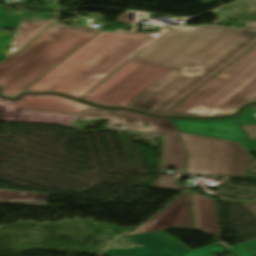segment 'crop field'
<instances>
[{
	"label": "crop field",
	"instance_id": "21",
	"mask_svg": "<svg viewBox=\"0 0 256 256\" xmlns=\"http://www.w3.org/2000/svg\"><path fill=\"white\" fill-rule=\"evenodd\" d=\"M18 24L19 21L6 17L5 8L0 7V31L4 27L17 29Z\"/></svg>",
	"mask_w": 256,
	"mask_h": 256
},
{
	"label": "crop field",
	"instance_id": "11",
	"mask_svg": "<svg viewBox=\"0 0 256 256\" xmlns=\"http://www.w3.org/2000/svg\"><path fill=\"white\" fill-rule=\"evenodd\" d=\"M19 108L79 113L91 106L51 95H25L18 101Z\"/></svg>",
	"mask_w": 256,
	"mask_h": 256
},
{
	"label": "crop field",
	"instance_id": "2",
	"mask_svg": "<svg viewBox=\"0 0 256 256\" xmlns=\"http://www.w3.org/2000/svg\"><path fill=\"white\" fill-rule=\"evenodd\" d=\"M152 34L127 31L100 32L26 92H60L80 98L164 33H157L158 37Z\"/></svg>",
	"mask_w": 256,
	"mask_h": 256
},
{
	"label": "crop field",
	"instance_id": "4",
	"mask_svg": "<svg viewBox=\"0 0 256 256\" xmlns=\"http://www.w3.org/2000/svg\"><path fill=\"white\" fill-rule=\"evenodd\" d=\"M256 101V45L167 115H231Z\"/></svg>",
	"mask_w": 256,
	"mask_h": 256
},
{
	"label": "crop field",
	"instance_id": "26",
	"mask_svg": "<svg viewBox=\"0 0 256 256\" xmlns=\"http://www.w3.org/2000/svg\"><path fill=\"white\" fill-rule=\"evenodd\" d=\"M200 70L198 68H188L186 70V75L187 76H195L199 74Z\"/></svg>",
	"mask_w": 256,
	"mask_h": 256
},
{
	"label": "crop field",
	"instance_id": "27",
	"mask_svg": "<svg viewBox=\"0 0 256 256\" xmlns=\"http://www.w3.org/2000/svg\"><path fill=\"white\" fill-rule=\"evenodd\" d=\"M45 2H46V4H47V1H51V0H44ZM53 1H55L52 5H49V4H47L49 7H62L61 5H58V2L59 1H65V0H53Z\"/></svg>",
	"mask_w": 256,
	"mask_h": 256
},
{
	"label": "crop field",
	"instance_id": "13",
	"mask_svg": "<svg viewBox=\"0 0 256 256\" xmlns=\"http://www.w3.org/2000/svg\"><path fill=\"white\" fill-rule=\"evenodd\" d=\"M50 23H55V20L20 22L19 27L15 33V37L11 44V46L16 49L9 50V52L6 54V57L17 51L19 48L23 47L25 44H27Z\"/></svg>",
	"mask_w": 256,
	"mask_h": 256
},
{
	"label": "crop field",
	"instance_id": "12",
	"mask_svg": "<svg viewBox=\"0 0 256 256\" xmlns=\"http://www.w3.org/2000/svg\"><path fill=\"white\" fill-rule=\"evenodd\" d=\"M191 194L196 229L219 237L215 201L199 194Z\"/></svg>",
	"mask_w": 256,
	"mask_h": 256
},
{
	"label": "crop field",
	"instance_id": "6",
	"mask_svg": "<svg viewBox=\"0 0 256 256\" xmlns=\"http://www.w3.org/2000/svg\"><path fill=\"white\" fill-rule=\"evenodd\" d=\"M169 69L131 59L82 99L111 107H123Z\"/></svg>",
	"mask_w": 256,
	"mask_h": 256
},
{
	"label": "crop field",
	"instance_id": "17",
	"mask_svg": "<svg viewBox=\"0 0 256 256\" xmlns=\"http://www.w3.org/2000/svg\"><path fill=\"white\" fill-rule=\"evenodd\" d=\"M185 203H182L178 206L173 212H171L168 216L162 219L160 222L151 227L147 232L163 230L166 227L173 226L175 220L177 219L179 213L181 212Z\"/></svg>",
	"mask_w": 256,
	"mask_h": 256
},
{
	"label": "crop field",
	"instance_id": "24",
	"mask_svg": "<svg viewBox=\"0 0 256 256\" xmlns=\"http://www.w3.org/2000/svg\"><path fill=\"white\" fill-rule=\"evenodd\" d=\"M243 142V141H242ZM246 151L255 150L256 149V140L239 143Z\"/></svg>",
	"mask_w": 256,
	"mask_h": 256
},
{
	"label": "crop field",
	"instance_id": "9",
	"mask_svg": "<svg viewBox=\"0 0 256 256\" xmlns=\"http://www.w3.org/2000/svg\"><path fill=\"white\" fill-rule=\"evenodd\" d=\"M181 132L225 139L229 141L246 140L238 124L256 125V113L250 107L235 118L219 120H175Z\"/></svg>",
	"mask_w": 256,
	"mask_h": 256
},
{
	"label": "crop field",
	"instance_id": "1",
	"mask_svg": "<svg viewBox=\"0 0 256 256\" xmlns=\"http://www.w3.org/2000/svg\"><path fill=\"white\" fill-rule=\"evenodd\" d=\"M256 42V30L202 25L195 33L169 29L134 59L171 69L124 107L163 115ZM187 67H199L186 77Z\"/></svg>",
	"mask_w": 256,
	"mask_h": 256
},
{
	"label": "crop field",
	"instance_id": "31",
	"mask_svg": "<svg viewBox=\"0 0 256 256\" xmlns=\"http://www.w3.org/2000/svg\"><path fill=\"white\" fill-rule=\"evenodd\" d=\"M254 109H255V111H256V105H254V106H252Z\"/></svg>",
	"mask_w": 256,
	"mask_h": 256
},
{
	"label": "crop field",
	"instance_id": "3",
	"mask_svg": "<svg viewBox=\"0 0 256 256\" xmlns=\"http://www.w3.org/2000/svg\"><path fill=\"white\" fill-rule=\"evenodd\" d=\"M99 31L62 24L47 28L20 52L0 62L2 95L14 98L21 94L50 68L65 59Z\"/></svg>",
	"mask_w": 256,
	"mask_h": 256
},
{
	"label": "crop field",
	"instance_id": "15",
	"mask_svg": "<svg viewBox=\"0 0 256 256\" xmlns=\"http://www.w3.org/2000/svg\"><path fill=\"white\" fill-rule=\"evenodd\" d=\"M188 196H189V193L186 189V191L183 194H181L179 197H177L175 200H173L170 204H168L165 208H163L155 216H153L151 219H149L147 222H145L143 225H141L136 230H134L124 236L128 237L131 235L146 233L147 229H149L155 223H157L162 218H164L166 215H168L171 211H173L182 202H185L187 200Z\"/></svg>",
	"mask_w": 256,
	"mask_h": 256
},
{
	"label": "crop field",
	"instance_id": "10",
	"mask_svg": "<svg viewBox=\"0 0 256 256\" xmlns=\"http://www.w3.org/2000/svg\"><path fill=\"white\" fill-rule=\"evenodd\" d=\"M76 114L18 109L17 102L0 99V120L69 125Z\"/></svg>",
	"mask_w": 256,
	"mask_h": 256
},
{
	"label": "crop field",
	"instance_id": "28",
	"mask_svg": "<svg viewBox=\"0 0 256 256\" xmlns=\"http://www.w3.org/2000/svg\"><path fill=\"white\" fill-rule=\"evenodd\" d=\"M246 27L256 28V22H247Z\"/></svg>",
	"mask_w": 256,
	"mask_h": 256
},
{
	"label": "crop field",
	"instance_id": "7",
	"mask_svg": "<svg viewBox=\"0 0 256 256\" xmlns=\"http://www.w3.org/2000/svg\"><path fill=\"white\" fill-rule=\"evenodd\" d=\"M115 111L121 127H126L124 131L165 133L161 172H165L166 167H173L175 173H184L186 153L173 124L163 118H153L129 111ZM143 124H148L149 128H143Z\"/></svg>",
	"mask_w": 256,
	"mask_h": 256
},
{
	"label": "crop field",
	"instance_id": "25",
	"mask_svg": "<svg viewBox=\"0 0 256 256\" xmlns=\"http://www.w3.org/2000/svg\"><path fill=\"white\" fill-rule=\"evenodd\" d=\"M200 26L197 27H191V26H180L172 29H177V30H183V31H188V32H194L196 29H198Z\"/></svg>",
	"mask_w": 256,
	"mask_h": 256
},
{
	"label": "crop field",
	"instance_id": "29",
	"mask_svg": "<svg viewBox=\"0 0 256 256\" xmlns=\"http://www.w3.org/2000/svg\"><path fill=\"white\" fill-rule=\"evenodd\" d=\"M12 3H28V2H27V0H24V1H13ZM34 3H35L36 5H38V4L36 3V0H34Z\"/></svg>",
	"mask_w": 256,
	"mask_h": 256
},
{
	"label": "crop field",
	"instance_id": "20",
	"mask_svg": "<svg viewBox=\"0 0 256 256\" xmlns=\"http://www.w3.org/2000/svg\"><path fill=\"white\" fill-rule=\"evenodd\" d=\"M241 256H256V241L231 247Z\"/></svg>",
	"mask_w": 256,
	"mask_h": 256
},
{
	"label": "crop field",
	"instance_id": "19",
	"mask_svg": "<svg viewBox=\"0 0 256 256\" xmlns=\"http://www.w3.org/2000/svg\"><path fill=\"white\" fill-rule=\"evenodd\" d=\"M174 226L193 227L192 215H191V209H190V197H189L188 201L186 202L178 219L176 220Z\"/></svg>",
	"mask_w": 256,
	"mask_h": 256
},
{
	"label": "crop field",
	"instance_id": "30",
	"mask_svg": "<svg viewBox=\"0 0 256 256\" xmlns=\"http://www.w3.org/2000/svg\"><path fill=\"white\" fill-rule=\"evenodd\" d=\"M159 177H161V178H169V179H173V177L163 176V175H159Z\"/></svg>",
	"mask_w": 256,
	"mask_h": 256
},
{
	"label": "crop field",
	"instance_id": "16",
	"mask_svg": "<svg viewBox=\"0 0 256 256\" xmlns=\"http://www.w3.org/2000/svg\"><path fill=\"white\" fill-rule=\"evenodd\" d=\"M79 117L81 120L107 118L110 120V123L107 124L109 130H121L120 128H114V126L120 125L114 110L98 109L93 107L81 113Z\"/></svg>",
	"mask_w": 256,
	"mask_h": 256
},
{
	"label": "crop field",
	"instance_id": "23",
	"mask_svg": "<svg viewBox=\"0 0 256 256\" xmlns=\"http://www.w3.org/2000/svg\"><path fill=\"white\" fill-rule=\"evenodd\" d=\"M13 36L7 33H0V60L4 59L5 51L10 46Z\"/></svg>",
	"mask_w": 256,
	"mask_h": 256
},
{
	"label": "crop field",
	"instance_id": "5",
	"mask_svg": "<svg viewBox=\"0 0 256 256\" xmlns=\"http://www.w3.org/2000/svg\"><path fill=\"white\" fill-rule=\"evenodd\" d=\"M180 134L190 155L188 175L246 176L249 154L239 144Z\"/></svg>",
	"mask_w": 256,
	"mask_h": 256
},
{
	"label": "crop field",
	"instance_id": "14",
	"mask_svg": "<svg viewBox=\"0 0 256 256\" xmlns=\"http://www.w3.org/2000/svg\"><path fill=\"white\" fill-rule=\"evenodd\" d=\"M49 196L0 190V203L47 204Z\"/></svg>",
	"mask_w": 256,
	"mask_h": 256
},
{
	"label": "crop field",
	"instance_id": "8",
	"mask_svg": "<svg viewBox=\"0 0 256 256\" xmlns=\"http://www.w3.org/2000/svg\"><path fill=\"white\" fill-rule=\"evenodd\" d=\"M165 234L163 231H157L131 236L130 240L143 246L127 250H109L106 254L108 256H209L224 251L229 256H235L220 243L191 251Z\"/></svg>",
	"mask_w": 256,
	"mask_h": 256
},
{
	"label": "crop field",
	"instance_id": "22",
	"mask_svg": "<svg viewBox=\"0 0 256 256\" xmlns=\"http://www.w3.org/2000/svg\"><path fill=\"white\" fill-rule=\"evenodd\" d=\"M156 188H165V189H174V190H183L184 187H180L177 185V180H165V179H157L153 185Z\"/></svg>",
	"mask_w": 256,
	"mask_h": 256
},
{
	"label": "crop field",
	"instance_id": "18",
	"mask_svg": "<svg viewBox=\"0 0 256 256\" xmlns=\"http://www.w3.org/2000/svg\"><path fill=\"white\" fill-rule=\"evenodd\" d=\"M18 9L21 10L23 13L13 15V10L11 9V12L7 13V16L14 18L16 20H19V21L42 20V19H50L51 18L50 13H48V12L32 14V13L22 10L20 8H18Z\"/></svg>",
	"mask_w": 256,
	"mask_h": 256
}]
</instances>
